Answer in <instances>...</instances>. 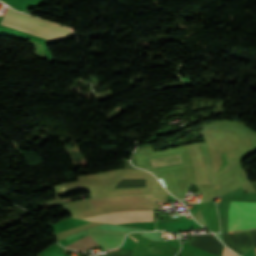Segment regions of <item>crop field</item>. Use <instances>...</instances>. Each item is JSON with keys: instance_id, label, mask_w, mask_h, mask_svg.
Returning a JSON list of instances; mask_svg holds the SVG:
<instances>
[{"instance_id": "crop-field-2", "label": "crop field", "mask_w": 256, "mask_h": 256, "mask_svg": "<svg viewBox=\"0 0 256 256\" xmlns=\"http://www.w3.org/2000/svg\"><path fill=\"white\" fill-rule=\"evenodd\" d=\"M229 231L256 228V203L231 201Z\"/></svg>"}, {"instance_id": "crop-field-4", "label": "crop field", "mask_w": 256, "mask_h": 256, "mask_svg": "<svg viewBox=\"0 0 256 256\" xmlns=\"http://www.w3.org/2000/svg\"><path fill=\"white\" fill-rule=\"evenodd\" d=\"M88 235L105 250L117 247L122 243L125 233L105 231V230H88Z\"/></svg>"}, {"instance_id": "crop-field-1", "label": "crop field", "mask_w": 256, "mask_h": 256, "mask_svg": "<svg viewBox=\"0 0 256 256\" xmlns=\"http://www.w3.org/2000/svg\"><path fill=\"white\" fill-rule=\"evenodd\" d=\"M0 25L17 29L50 41L74 35L71 30L63 26L18 13L11 8H9L6 15L3 16Z\"/></svg>"}, {"instance_id": "crop-field-3", "label": "crop field", "mask_w": 256, "mask_h": 256, "mask_svg": "<svg viewBox=\"0 0 256 256\" xmlns=\"http://www.w3.org/2000/svg\"><path fill=\"white\" fill-rule=\"evenodd\" d=\"M90 221L106 222V223H130V222H149L152 221L151 211H122L108 213L88 218H83Z\"/></svg>"}, {"instance_id": "crop-field-5", "label": "crop field", "mask_w": 256, "mask_h": 256, "mask_svg": "<svg viewBox=\"0 0 256 256\" xmlns=\"http://www.w3.org/2000/svg\"><path fill=\"white\" fill-rule=\"evenodd\" d=\"M153 168L183 163L180 156H168L150 159Z\"/></svg>"}]
</instances>
